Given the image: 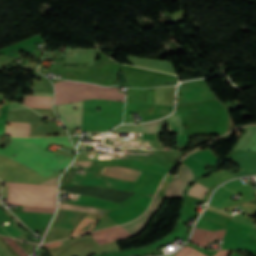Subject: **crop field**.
<instances>
[{
    "label": "crop field",
    "instance_id": "8a807250",
    "mask_svg": "<svg viewBox=\"0 0 256 256\" xmlns=\"http://www.w3.org/2000/svg\"><path fill=\"white\" fill-rule=\"evenodd\" d=\"M10 138L12 142L0 149V155L11 157L40 174L58 175L73 160L72 157L41 150L44 143L50 141L74 148L68 136Z\"/></svg>",
    "mask_w": 256,
    "mask_h": 256
},
{
    "label": "crop field",
    "instance_id": "ac0d7876",
    "mask_svg": "<svg viewBox=\"0 0 256 256\" xmlns=\"http://www.w3.org/2000/svg\"><path fill=\"white\" fill-rule=\"evenodd\" d=\"M4 184H9V191L17 192L56 194L57 188V186H41L31 184ZM8 203L14 205L43 206L56 208V195L9 192Z\"/></svg>",
    "mask_w": 256,
    "mask_h": 256
},
{
    "label": "crop field",
    "instance_id": "34b2d1b8",
    "mask_svg": "<svg viewBox=\"0 0 256 256\" xmlns=\"http://www.w3.org/2000/svg\"><path fill=\"white\" fill-rule=\"evenodd\" d=\"M193 176L191 169L183 164L177 175L169 184L165 195L181 198L182 190L190 181H192Z\"/></svg>",
    "mask_w": 256,
    "mask_h": 256
},
{
    "label": "crop field",
    "instance_id": "412701ff",
    "mask_svg": "<svg viewBox=\"0 0 256 256\" xmlns=\"http://www.w3.org/2000/svg\"><path fill=\"white\" fill-rule=\"evenodd\" d=\"M82 104L83 101L57 106L58 113L67 127L81 126ZM73 107H76L77 110H73Z\"/></svg>",
    "mask_w": 256,
    "mask_h": 256
},
{
    "label": "crop field",
    "instance_id": "f4fd0767",
    "mask_svg": "<svg viewBox=\"0 0 256 256\" xmlns=\"http://www.w3.org/2000/svg\"><path fill=\"white\" fill-rule=\"evenodd\" d=\"M163 199H164V197L156 196L144 216H142L139 220L129 223L127 225H124L122 227L125 228L127 231H129L134 236L138 235L141 231L144 230L146 224L148 223V221L150 220V218L152 217L154 212L159 208Z\"/></svg>",
    "mask_w": 256,
    "mask_h": 256
},
{
    "label": "crop field",
    "instance_id": "dd49c442",
    "mask_svg": "<svg viewBox=\"0 0 256 256\" xmlns=\"http://www.w3.org/2000/svg\"><path fill=\"white\" fill-rule=\"evenodd\" d=\"M91 235L96 239V241L99 244L118 240V239L129 238L132 236L121 226L104 230V231L94 232Z\"/></svg>",
    "mask_w": 256,
    "mask_h": 256
},
{
    "label": "crop field",
    "instance_id": "e52e79f7",
    "mask_svg": "<svg viewBox=\"0 0 256 256\" xmlns=\"http://www.w3.org/2000/svg\"><path fill=\"white\" fill-rule=\"evenodd\" d=\"M225 230L226 229L210 232V231L195 228L190 241L205 248L209 243H211L216 238L222 239L224 236Z\"/></svg>",
    "mask_w": 256,
    "mask_h": 256
},
{
    "label": "crop field",
    "instance_id": "d8731c3e",
    "mask_svg": "<svg viewBox=\"0 0 256 256\" xmlns=\"http://www.w3.org/2000/svg\"><path fill=\"white\" fill-rule=\"evenodd\" d=\"M140 171L132 170L121 166H109L106 167L103 175L119 177L127 180L134 181L139 175Z\"/></svg>",
    "mask_w": 256,
    "mask_h": 256
},
{
    "label": "crop field",
    "instance_id": "5a996713",
    "mask_svg": "<svg viewBox=\"0 0 256 256\" xmlns=\"http://www.w3.org/2000/svg\"><path fill=\"white\" fill-rule=\"evenodd\" d=\"M160 121L144 124V125H121L112 131L119 132H153L157 133L160 128Z\"/></svg>",
    "mask_w": 256,
    "mask_h": 256
},
{
    "label": "crop field",
    "instance_id": "3316defc",
    "mask_svg": "<svg viewBox=\"0 0 256 256\" xmlns=\"http://www.w3.org/2000/svg\"><path fill=\"white\" fill-rule=\"evenodd\" d=\"M11 125H6L5 134L12 136H28L30 133V123L9 122Z\"/></svg>",
    "mask_w": 256,
    "mask_h": 256
},
{
    "label": "crop field",
    "instance_id": "28ad6ade",
    "mask_svg": "<svg viewBox=\"0 0 256 256\" xmlns=\"http://www.w3.org/2000/svg\"><path fill=\"white\" fill-rule=\"evenodd\" d=\"M169 133H182V125L179 114L167 117Z\"/></svg>",
    "mask_w": 256,
    "mask_h": 256
},
{
    "label": "crop field",
    "instance_id": "d1516ede",
    "mask_svg": "<svg viewBox=\"0 0 256 256\" xmlns=\"http://www.w3.org/2000/svg\"><path fill=\"white\" fill-rule=\"evenodd\" d=\"M59 208L63 209H69V210H80V211H87L95 214L102 215L105 210L97 209V208H92V207H85V206H79V205H74V204H65V203H59Z\"/></svg>",
    "mask_w": 256,
    "mask_h": 256
},
{
    "label": "crop field",
    "instance_id": "22f410ed",
    "mask_svg": "<svg viewBox=\"0 0 256 256\" xmlns=\"http://www.w3.org/2000/svg\"><path fill=\"white\" fill-rule=\"evenodd\" d=\"M95 223H96L95 220L84 218V220L79 224V226L73 231L71 235H76V234L90 231L95 225Z\"/></svg>",
    "mask_w": 256,
    "mask_h": 256
},
{
    "label": "crop field",
    "instance_id": "cbeb9de0",
    "mask_svg": "<svg viewBox=\"0 0 256 256\" xmlns=\"http://www.w3.org/2000/svg\"><path fill=\"white\" fill-rule=\"evenodd\" d=\"M208 191V188L199 184V183H194L193 186L189 189L188 194L193 196V197H197L202 199L204 197V195L206 194V192Z\"/></svg>",
    "mask_w": 256,
    "mask_h": 256
},
{
    "label": "crop field",
    "instance_id": "5142ce71",
    "mask_svg": "<svg viewBox=\"0 0 256 256\" xmlns=\"http://www.w3.org/2000/svg\"><path fill=\"white\" fill-rule=\"evenodd\" d=\"M174 256H206V255H204V254L196 251L194 248L186 245L183 249H181Z\"/></svg>",
    "mask_w": 256,
    "mask_h": 256
},
{
    "label": "crop field",
    "instance_id": "d9b57169",
    "mask_svg": "<svg viewBox=\"0 0 256 256\" xmlns=\"http://www.w3.org/2000/svg\"><path fill=\"white\" fill-rule=\"evenodd\" d=\"M3 239L10 245V247H11L19 256H28L14 240L6 239V238H3Z\"/></svg>",
    "mask_w": 256,
    "mask_h": 256
},
{
    "label": "crop field",
    "instance_id": "733c2abd",
    "mask_svg": "<svg viewBox=\"0 0 256 256\" xmlns=\"http://www.w3.org/2000/svg\"><path fill=\"white\" fill-rule=\"evenodd\" d=\"M32 109H43V110H52L51 106H42V105H30V104H24Z\"/></svg>",
    "mask_w": 256,
    "mask_h": 256
},
{
    "label": "crop field",
    "instance_id": "4a817a6b",
    "mask_svg": "<svg viewBox=\"0 0 256 256\" xmlns=\"http://www.w3.org/2000/svg\"><path fill=\"white\" fill-rule=\"evenodd\" d=\"M59 176L52 178L50 180H47L43 183H40L41 185H57V181H58Z\"/></svg>",
    "mask_w": 256,
    "mask_h": 256
},
{
    "label": "crop field",
    "instance_id": "bc2a9ffb",
    "mask_svg": "<svg viewBox=\"0 0 256 256\" xmlns=\"http://www.w3.org/2000/svg\"><path fill=\"white\" fill-rule=\"evenodd\" d=\"M20 109H28L21 104H10L9 105V110H20Z\"/></svg>",
    "mask_w": 256,
    "mask_h": 256
},
{
    "label": "crop field",
    "instance_id": "214f88e0",
    "mask_svg": "<svg viewBox=\"0 0 256 256\" xmlns=\"http://www.w3.org/2000/svg\"><path fill=\"white\" fill-rule=\"evenodd\" d=\"M79 163L81 166L90 167L92 161H78L74 162L73 164Z\"/></svg>",
    "mask_w": 256,
    "mask_h": 256
},
{
    "label": "crop field",
    "instance_id": "92a150f3",
    "mask_svg": "<svg viewBox=\"0 0 256 256\" xmlns=\"http://www.w3.org/2000/svg\"><path fill=\"white\" fill-rule=\"evenodd\" d=\"M228 253H229V250H221L215 256H227Z\"/></svg>",
    "mask_w": 256,
    "mask_h": 256
},
{
    "label": "crop field",
    "instance_id": "dafd665d",
    "mask_svg": "<svg viewBox=\"0 0 256 256\" xmlns=\"http://www.w3.org/2000/svg\"><path fill=\"white\" fill-rule=\"evenodd\" d=\"M34 96L52 97V94L35 93Z\"/></svg>",
    "mask_w": 256,
    "mask_h": 256
},
{
    "label": "crop field",
    "instance_id": "00972430",
    "mask_svg": "<svg viewBox=\"0 0 256 256\" xmlns=\"http://www.w3.org/2000/svg\"><path fill=\"white\" fill-rule=\"evenodd\" d=\"M60 244H61V241L55 242V243H51V244H47V245H45V246H48V247H55V246H58V245H60Z\"/></svg>",
    "mask_w": 256,
    "mask_h": 256
},
{
    "label": "crop field",
    "instance_id": "a9b5d70f",
    "mask_svg": "<svg viewBox=\"0 0 256 256\" xmlns=\"http://www.w3.org/2000/svg\"><path fill=\"white\" fill-rule=\"evenodd\" d=\"M48 56V55H47ZM48 57H59V55H50Z\"/></svg>",
    "mask_w": 256,
    "mask_h": 256
}]
</instances>
